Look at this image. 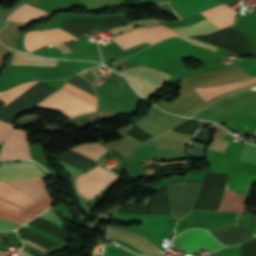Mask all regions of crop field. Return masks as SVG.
<instances>
[{
    "instance_id": "crop-field-14",
    "label": "crop field",
    "mask_w": 256,
    "mask_h": 256,
    "mask_svg": "<svg viewBox=\"0 0 256 256\" xmlns=\"http://www.w3.org/2000/svg\"><path fill=\"white\" fill-rule=\"evenodd\" d=\"M46 11L24 4L12 13L8 20L16 22H26L42 16Z\"/></svg>"
},
{
    "instance_id": "crop-field-5",
    "label": "crop field",
    "mask_w": 256,
    "mask_h": 256,
    "mask_svg": "<svg viewBox=\"0 0 256 256\" xmlns=\"http://www.w3.org/2000/svg\"><path fill=\"white\" fill-rule=\"evenodd\" d=\"M37 167L30 162L4 163L0 166V178L13 180L45 177L43 172ZM30 181L46 190L42 178L30 179Z\"/></svg>"
},
{
    "instance_id": "crop-field-15",
    "label": "crop field",
    "mask_w": 256,
    "mask_h": 256,
    "mask_svg": "<svg viewBox=\"0 0 256 256\" xmlns=\"http://www.w3.org/2000/svg\"><path fill=\"white\" fill-rule=\"evenodd\" d=\"M172 29L176 30L177 32L183 35H196V34L210 33L214 30H218L219 28H217L210 21L205 19L192 26H184V27L172 28Z\"/></svg>"
},
{
    "instance_id": "crop-field-4",
    "label": "crop field",
    "mask_w": 256,
    "mask_h": 256,
    "mask_svg": "<svg viewBox=\"0 0 256 256\" xmlns=\"http://www.w3.org/2000/svg\"><path fill=\"white\" fill-rule=\"evenodd\" d=\"M173 241L189 256L203 246L210 252L223 247L208 232L200 229H189L174 238Z\"/></svg>"
},
{
    "instance_id": "crop-field-13",
    "label": "crop field",
    "mask_w": 256,
    "mask_h": 256,
    "mask_svg": "<svg viewBox=\"0 0 256 256\" xmlns=\"http://www.w3.org/2000/svg\"><path fill=\"white\" fill-rule=\"evenodd\" d=\"M248 198L226 189L218 211L242 212Z\"/></svg>"
},
{
    "instance_id": "crop-field-21",
    "label": "crop field",
    "mask_w": 256,
    "mask_h": 256,
    "mask_svg": "<svg viewBox=\"0 0 256 256\" xmlns=\"http://www.w3.org/2000/svg\"><path fill=\"white\" fill-rule=\"evenodd\" d=\"M13 128L14 127L12 125L0 121V142L6 139V137L10 134Z\"/></svg>"
},
{
    "instance_id": "crop-field-20",
    "label": "crop field",
    "mask_w": 256,
    "mask_h": 256,
    "mask_svg": "<svg viewBox=\"0 0 256 256\" xmlns=\"http://www.w3.org/2000/svg\"><path fill=\"white\" fill-rule=\"evenodd\" d=\"M40 217H42V218H44V219H46V220H48V221H50V222L60 226V227L64 226L62 224V222L57 218V216L52 211H50L49 209L47 211H45L42 215H40ZM25 243L33 246L34 248H36V249H38V250H40L42 252L45 251V249H43V248H41V247H39V246L29 242V241H27Z\"/></svg>"
},
{
    "instance_id": "crop-field-8",
    "label": "crop field",
    "mask_w": 256,
    "mask_h": 256,
    "mask_svg": "<svg viewBox=\"0 0 256 256\" xmlns=\"http://www.w3.org/2000/svg\"><path fill=\"white\" fill-rule=\"evenodd\" d=\"M0 158L4 160L31 159L26 132L15 129L5 141Z\"/></svg>"
},
{
    "instance_id": "crop-field-12",
    "label": "crop field",
    "mask_w": 256,
    "mask_h": 256,
    "mask_svg": "<svg viewBox=\"0 0 256 256\" xmlns=\"http://www.w3.org/2000/svg\"><path fill=\"white\" fill-rule=\"evenodd\" d=\"M256 82V77L240 81V82H235V83H230L218 87H212V88H195L197 92L207 101L210 98L217 96L219 94H222L224 92L230 91L232 89H236L239 87L251 85Z\"/></svg>"
},
{
    "instance_id": "crop-field-3",
    "label": "crop field",
    "mask_w": 256,
    "mask_h": 256,
    "mask_svg": "<svg viewBox=\"0 0 256 256\" xmlns=\"http://www.w3.org/2000/svg\"><path fill=\"white\" fill-rule=\"evenodd\" d=\"M80 176L90 181L91 183L97 185L100 188L107 186L116 177L115 174L99 166H96L95 168ZM81 177L77 176L76 178L75 187L77 193L90 200L95 195H97L102 189L96 187L95 185L91 184L90 182L84 180Z\"/></svg>"
},
{
    "instance_id": "crop-field-11",
    "label": "crop field",
    "mask_w": 256,
    "mask_h": 256,
    "mask_svg": "<svg viewBox=\"0 0 256 256\" xmlns=\"http://www.w3.org/2000/svg\"><path fill=\"white\" fill-rule=\"evenodd\" d=\"M236 13V11L224 4H219L207 11L201 12L202 15H204L220 29L232 25Z\"/></svg>"
},
{
    "instance_id": "crop-field-10",
    "label": "crop field",
    "mask_w": 256,
    "mask_h": 256,
    "mask_svg": "<svg viewBox=\"0 0 256 256\" xmlns=\"http://www.w3.org/2000/svg\"><path fill=\"white\" fill-rule=\"evenodd\" d=\"M0 183L19 191L18 189H16L15 187H13L12 185H10L7 182L0 181ZM2 184H0V194L6 196V197H8V198H10V199H12L16 202H19L23 205H25V204L34 200V199H32V198H30L26 195L21 194L22 193L21 191H19V192H21V193H19V192L15 191V190H12V189H10V188L2 185ZM2 195H0V205L1 206H4V207H6V208H8V209H10L14 212H16L21 207H23V205H21L19 203H16V202H14V201H12V200H10V199L2 196Z\"/></svg>"
},
{
    "instance_id": "crop-field-2",
    "label": "crop field",
    "mask_w": 256,
    "mask_h": 256,
    "mask_svg": "<svg viewBox=\"0 0 256 256\" xmlns=\"http://www.w3.org/2000/svg\"><path fill=\"white\" fill-rule=\"evenodd\" d=\"M177 35L178 34L164 26H154L148 28H135L127 33L112 38V40L126 50L142 42L153 44L164 38Z\"/></svg>"
},
{
    "instance_id": "crop-field-17",
    "label": "crop field",
    "mask_w": 256,
    "mask_h": 256,
    "mask_svg": "<svg viewBox=\"0 0 256 256\" xmlns=\"http://www.w3.org/2000/svg\"><path fill=\"white\" fill-rule=\"evenodd\" d=\"M95 161L103 156L108 149L104 148L98 142L80 144L74 148H71Z\"/></svg>"
},
{
    "instance_id": "crop-field-16",
    "label": "crop field",
    "mask_w": 256,
    "mask_h": 256,
    "mask_svg": "<svg viewBox=\"0 0 256 256\" xmlns=\"http://www.w3.org/2000/svg\"><path fill=\"white\" fill-rule=\"evenodd\" d=\"M57 61L58 60L35 57L32 55H28V54H24L16 51L10 64L55 66Z\"/></svg>"
},
{
    "instance_id": "crop-field-23",
    "label": "crop field",
    "mask_w": 256,
    "mask_h": 256,
    "mask_svg": "<svg viewBox=\"0 0 256 256\" xmlns=\"http://www.w3.org/2000/svg\"><path fill=\"white\" fill-rule=\"evenodd\" d=\"M163 21H160V20H157V19H143V20H139V21H136L134 23H137L139 25H157L159 23H161Z\"/></svg>"
},
{
    "instance_id": "crop-field-6",
    "label": "crop field",
    "mask_w": 256,
    "mask_h": 256,
    "mask_svg": "<svg viewBox=\"0 0 256 256\" xmlns=\"http://www.w3.org/2000/svg\"><path fill=\"white\" fill-rule=\"evenodd\" d=\"M51 204L52 201L48 193H45L16 213L0 206V217L22 225L49 208Z\"/></svg>"
},
{
    "instance_id": "crop-field-7",
    "label": "crop field",
    "mask_w": 256,
    "mask_h": 256,
    "mask_svg": "<svg viewBox=\"0 0 256 256\" xmlns=\"http://www.w3.org/2000/svg\"><path fill=\"white\" fill-rule=\"evenodd\" d=\"M71 40H76V38L62 29L57 28L26 33L24 44L25 49L32 52L46 44Z\"/></svg>"
},
{
    "instance_id": "crop-field-25",
    "label": "crop field",
    "mask_w": 256,
    "mask_h": 256,
    "mask_svg": "<svg viewBox=\"0 0 256 256\" xmlns=\"http://www.w3.org/2000/svg\"><path fill=\"white\" fill-rule=\"evenodd\" d=\"M18 256H33V255H30L29 253L25 252L24 250H22Z\"/></svg>"
},
{
    "instance_id": "crop-field-1",
    "label": "crop field",
    "mask_w": 256,
    "mask_h": 256,
    "mask_svg": "<svg viewBox=\"0 0 256 256\" xmlns=\"http://www.w3.org/2000/svg\"><path fill=\"white\" fill-rule=\"evenodd\" d=\"M126 76L136 91L148 99L152 93L161 89L164 82L169 78V74L140 66L120 72Z\"/></svg>"
},
{
    "instance_id": "crop-field-22",
    "label": "crop field",
    "mask_w": 256,
    "mask_h": 256,
    "mask_svg": "<svg viewBox=\"0 0 256 256\" xmlns=\"http://www.w3.org/2000/svg\"><path fill=\"white\" fill-rule=\"evenodd\" d=\"M181 38H183V39H185V40H187V41H189V42H191V43H193L195 45H198V46H201V47H204V48H207V49H211V50H214V51H216V49H217V47H215V46L206 44L204 42L192 39V38L187 37V36H184V37H181Z\"/></svg>"
},
{
    "instance_id": "crop-field-9",
    "label": "crop field",
    "mask_w": 256,
    "mask_h": 256,
    "mask_svg": "<svg viewBox=\"0 0 256 256\" xmlns=\"http://www.w3.org/2000/svg\"><path fill=\"white\" fill-rule=\"evenodd\" d=\"M167 2L181 19L220 3L216 0H170Z\"/></svg>"
},
{
    "instance_id": "crop-field-19",
    "label": "crop field",
    "mask_w": 256,
    "mask_h": 256,
    "mask_svg": "<svg viewBox=\"0 0 256 256\" xmlns=\"http://www.w3.org/2000/svg\"><path fill=\"white\" fill-rule=\"evenodd\" d=\"M240 160L256 163V146L245 144Z\"/></svg>"
},
{
    "instance_id": "crop-field-24",
    "label": "crop field",
    "mask_w": 256,
    "mask_h": 256,
    "mask_svg": "<svg viewBox=\"0 0 256 256\" xmlns=\"http://www.w3.org/2000/svg\"><path fill=\"white\" fill-rule=\"evenodd\" d=\"M134 26H138V25L130 23V24L126 25V26H123V27H120V28H116V29H112L111 31H112L113 35H115V34H117L119 32L126 31V30H128V29H130V28H132Z\"/></svg>"
},
{
    "instance_id": "crop-field-18",
    "label": "crop field",
    "mask_w": 256,
    "mask_h": 256,
    "mask_svg": "<svg viewBox=\"0 0 256 256\" xmlns=\"http://www.w3.org/2000/svg\"><path fill=\"white\" fill-rule=\"evenodd\" d=\"M37 82L39 81L29 82V83L14 87L12 89H9L6 92H0V99L6 103L5 104L6 106L8 103H10L12 100H14L16 97H18L25 90H27L29 87H31L33 84Z\"/></svg>"
}]
</instances>
